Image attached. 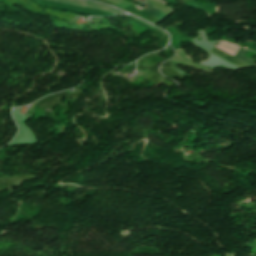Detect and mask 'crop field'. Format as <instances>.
I'll return each mask as SVG.
<instances>
[{
    "label": "crop field",
    "mask_w": 256,
    "mask_h": 256,
    "mask_svg": "<svg viewBox=\"0 0 256 256\" xmlns=\"http://www.w3.org/2000/svg\"><path fill=\"white\" fill-rule=\"evenodd\" d=\"M221 51H224L228 54H231L233 56H236V54L238 53V51L240 50L239 47H236L234 45H231V44H228L226 42H221L220 46L218 47H215ZM219 50H216V49H212L211 53L237 65L238 67L242 68V67H247V66H254L256 65L254 60H251L247 57H245L244 55L246 54L247 50L241 48V50L239 51V53L237 54V58L246 62L247 64L241 62L240 60H238L237 58L231 56V55H228L224 52H221ZM177 54L179 57H177L176 59L172 60V62L176 63V64H180V65H184V66H192V67H195V68H198V69H202V70H205V71H209L211 72L210 70H208V67H204V66H201V65H198L196 63H192L191 59H189L184 50H177Z\"/></svg>",
    "instance_id": "obj_1"
},
{
    "label": "crop field",
    "mask_w": 256,
    "mask_h": 256,
    "mask_svg": "<svg viewBox=\"0 0 256 256\" xmlns=\"http://www.w3.org/2000/svg\"><path fill=\"white\" fill-rule=\"evenodd\" d=\"M59 3H64V4H71V5H78V6H84V7H90L98 10H103V11H109L112 13L120 14L123 12L117 11L115 9L106 7L104 5L94 3V2H88V1H80V0H51Z\"/></svg>",
    "instance_id": "obj_2"
},
{
    "label": "crop field",
    "mask_w": 256,
    "mask_h": 256,
    "mask_svg": "<svg viewBox=\"0 0 256 256\" xmlns=\"http://www.w3.org/2000/svg\"><path fill=\"white\" fill-rule=\"evenodd\" d=\"M148 5L151 7L150 9L146 8L143 9L145 11H147L148 13H150L152 16H154L156 19H158L159 21L167 18L164 13L161 11V9L156 6L154 3H152L151 1L148 0Z\"/></svg>",
    "instance_id": "obj_3"
},
{
    "label": "crop field",
    "mask_w": 256,
    "mask_h": 256,
    "mask_svg": "<svg viewBox=\"0 0 256 256\" xmlns=\"http://www.w3.org/2000/svg\"><path fill=\"white\" fill-rule=\"evenodd\" d=\"M139 20V19H138ZM141 21V20H140ZM143 22V21H142ZM144 23H146V22H144ZM146 24H148V23H146ZM148 25H150V24H148ZM150 26H152V25H150ZM152 27H154V26H152ZM155 28V27H154ZM157 29V28H156ZM159 30V29H158ZM164 33V32H163ZM165 34V33H164Z\"/></svg>",
    "instance_id": "obj_4"
}]
</instances>
